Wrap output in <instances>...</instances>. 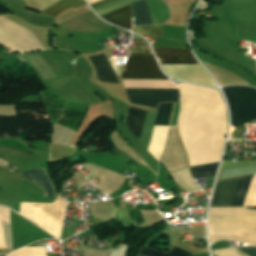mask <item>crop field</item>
I'll return each mask as SVG.
<instances>
[{"mask_svg": "<svg viewBox=\"0 0 256 256\" xmlns=\"http://www.w3.org/2000/svg\"><path fill=\"white\" fill-rule=\"evenodd\" d=\"M182 105L178 131L190 166L220 160L228 125L218 90L180 83Z\"/></svg>", "mask_w": 256, "mask_h": 256, "instance_id": "8a807250", "label": "crop field"}, {"mask_svg": "<svg viewBox=\"0 0 256 256\" xmlns=\"http://www.w3.org/2000/svg\"><path fill=\"white\" fill-rule=\"evenodd\" d=\"M209 236L211 243L230 239L256 244V210L246 207L211 208Z\"/></svg>", "mask_w": 256, "mask_h": 256, "instance_id": "ac0d7876", "label": "crop field"}, {"mask_svg": "<svg viewBox=\"0 0 256 256\" xmlns=\"http://www.w3.org/2000/svg\"><path fill=\"white\" fill-rule=\"evenodd\" d=\"M223 90L230 107L231 127L256 120V89L228 86Z\"/></svg>", "mask_w": 256, "mask_h": 256, "instance_id": "34b2d1b8", "label": "crop field"}, {"mask_svg": "<svg viewBox=\"0 0 256 256\" xmlns=\"http://www.w3.org/2000/svg\"><path fill=\"white\" fill-rule=\"evenodd\" d=\"M146 111L129 107L127 112L126 126L138 138L144 121ZM169 127L155 126L147 150L159 160L164 149Z\"/></svg>", "mask_w": 256, "mask_h": 256, "instance_id": "412701ff", "label": "crop field"}, {"mask_svg": "<svg viewBox=\"0 0 256 256\" xmlns=\"http://www.w3.org/2000/svg\"><path fill=\"white\" fill-rule=\"evenodd\" d=\"M123 79L169 80L159 69L154 55L132 54L127 60Z\"/></svg>", "mask_w": 256, "mask_h": 256, "instance_id": "f4fd0767", "label": "crop field"}, {"mask_svg": "<svg viewBox=\"0 0 256 256\" xmlns=\"http://www.w3.org/2000/svg\"><path fill=\"white\" fill-rule=\"evenodd\" d=\"M134 13V26L152 25L150 12L145 0H140L131 4ZM131 5L102 16L107 21L118 26L132 29Z\"/></svg>", "mask_w": 256, "mask_h": 256, "instance_id": "dd49c442", "label": "crop field"}, {"mask_svg": "<svg viewBox=\"0 0 256 256\" xmlns=\"http://www.w3.org/2000/svg\"><path fill=\"white\" fill-rule=\"evenodd\" d=\"M130 102L157 107L163 102H180L179 90L125 89Z\"/></svg>", "mask_w": 256, "mask_h": 256, "instance_id": "e52e79f7", "label": "crop field"}, {"mask_svg": "<svg viewBox=\"0 0 256 256\" xmlns=\"http://www.w3.org/2000/svg\"><path fill=\"white\" fill-rule=\"evenodd\" d=\"M161 67L174 78L217 86L201 65H161Z\"/></svg>", "mask_w": 256, "mask_h": 256, "instance_id": "d8731c3e", "label": "crop field"}, {"mask_svg": "<svg viewBox=\"0 0 256 256\" xmlns=\"http://www.w3.org/2000/svg\"><path fill=\"white\" fill-rule=\"evenodd\" d=\"M160 64H199L191 50L152 47Z\"/></svg>", "mask_w": 256, "mask_h": 256, "instance_id": "5a996713", "label": "crop field"}, {"mask_svg": "<svg viewBox=\"0 0 256 256\" xmlns=\"http://www.w3.org/2000/svg\"><path fill=\"white\" fill-rule=\"evenodd\" d=\"M238 179L239 178L218 182L210 207L229 206Z\"/></svg>", "mask_w": 256, "mask_h": 256, "instance_id": "3316defc", "label": "crop field"}, {"mask_svg": "<svg viewBox=\"0 0 256 256\" xmlns=\"http://www.w3.org/2000/svg\"><path fill=\"white\" fill-rule=\"evenodd\" d=\"M90 59L97 71L99 81L119 84L104 54L91 56Z\"/></svg>", "mask_w": 256, "mask_h": 256, "instance_id": "28ad6ade", "label": "crop field"}, {"mask_svg": "<svg viewBox=\"0 0 256 256\" xmlns=\"http://www.w3.org/2000/svg\"><path fill=\"white\" fill-rule=\"evenodd\" d=\"M177 184L183 188L187 193L201 190L191 177L188 167L169 173Z\"/></svg>", "mask_w": 256, "mask_h": 256, "instance_id": "d1516ede", "label": "crop field"}, {"mask_svg": "<svg viewBox=\"0 0 256 256\" xmlns=\"http://www.w3.org/2000/svg\"><path fill=\"white\" fill-rule=\"evenodd\" d=\"M125 88L178 89L170 81L122 80Z\"/></svg>", "mask_w": 256, "mask_h": 256, "instance_id": "22f410ed", "label": "crop field"}, {"mask_svg": "<svg viewBox=\"0 0 256 256\" xmlns=\"http://www.w3.org/2000/svg\"><path fill=\"white\" fill-rule=\"evenodd\" d=\"M32 182L45 190V197H53V187L42 169L23 172ZM42 189V190H43Z\"/></svg>", "mask_w": 256, "mask_h": 256, "instance_id": "cbeb9de0", "label": "crop field"}, {"mask_svg": "<svg viewBox=\"0 0 256 256\" xmlns=\"http://www.w3.org/2000/svg\"><path fill=\"white\" fill-rule=\"evenodd\" d=\"M86 4L87 3L85 0H59L42 12L50 14L55 17L68 8H71V7L78 8Z\"/></svg>", "mask_w": 256, "mask_h": 256, "instance_id": "5142ce71", "label": "crop field"}, {"mask_svg": "<svg viewBox=\"0 0 256 256\" xmlns=\"http://www.w3.org/2000/svg\"><path fill=\"white\" fill-rule=\"evenodd\" d=\"M252 176H246L239 179L236 191L234 193L230 206H242L247 190L249 188Z\"/></svg>", "mask_w": 256, "mask_h": 256, "instance_id": "d9b57169", "label": "crop field"}, {"mask_svg": "<svg viewBox=\"0 0 256 256\" xmlns=\"http://www.w3.org/2000/svg\"><path fill=\"white\" fill-rule=\"evenodd\" d=\"M249 256H256V247L238 248ZM236 248L220 249L213 251L215 256H247Z\"/></svg>", "mask_w": 256, "mask_h": 256, "instance_id": "733c2abd", "label": "crop field"}, {"mask_svg": "<svg viewBox=\"0 0 256 256\" xmlns=\"http://www.w3.org/2000/svg\"><path fill=\"white\" fill-rule=\"evenodd\" d=\"M218 163L190 167L194 179L214 176Z\"/></svg>", "mask_w": 256, "mask_h": 256, "instance_id": "4a817a6b", "label": "crop field"}, {"mask_svg": "<svg viewBox=\"0 0 256 256\" xmlns=\"http://www.w3.org/2000/svg\"><path fill=\"white\" fill-rule=\"evenodd\" d=\"M139 254L146 255V256H192L193 255V254H189L175 246L173 247L172 251L168 254L158 252L155 250H151L148 248H144V247H142Z\"/></svg>", "mask_w": 256, "mask_h": 256, "instance_id": "bc2a9ffb", "label": "crop field"}, {"mask_svg": "<svg viewBox=\"0 0 256 256\" xmlns=\"http://www.w3.org/2000/svg\"><path fill=\"white\" fill-rule=\"evenodd\" d=\"M133 31L142 36L162 37V26L135 27Z\"/></svg>", "mask_w": 256, "mask_h": 256, "instance_id": "214f88e0", "label": "crop field"}, {"mask_svg": "<svg viewBox=\"0 0 256 256\" xmlns=\"http://www.w3.org/2000/svg\"><path fill=\"white\" fill-rule=\"evenodd\" d=\"M165 105L166 104H160V110H159V114H158L157 121H156L155 125H161L162 119H163ZM173 105H174V103H170V104L166 105V109H165V114H164V119H163L162 125H169L170 119H171Z\"/></svg>", "mask_w": 256, "mask_h": 256, "instance_id": "92a150f3", "label": "crop field"}, {"mask_svg": "<svg viewBox=\"0 0 256 256\" xmlns=\"http://www.w3.org/2000/svg\"><path fill=\"white\" fill-rule=\"evenodd\" d=\"M0 166L3 167V168H5V169H7V170H9V171H11V172H13V173H15V172L21 170V169L15 167V166H13V165H11V164L5 162V161L2 160V159H0Z\"/></svg>", "mask_w": 256, "mask_h": 256, "instance_id": "dafd665d", "label": "crop field"}, {"mask_svg": "<svg viewBox=\"0 0 256 256\" xmlns=\"http://www.w3.org/2000/svg\"><path fill=\"white\" fill-rule=\"evenodd\" d=\"M112 1H114V0H101L99 2H96V3L92 4V7H93V9H95L97 7H100L104 4H107V3L112 2Z\"/></svg>", "mask_w": 256, "mask_h": 256, "instance_id": "00972430", "label": "crop field"}]
</instances>
